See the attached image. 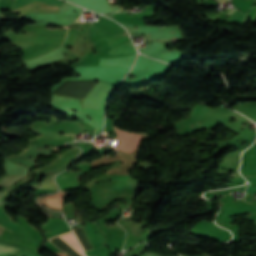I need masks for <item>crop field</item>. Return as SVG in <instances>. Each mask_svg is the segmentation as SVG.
Wrapping results in <instances>:
<instances>
[{"label":"crop field","mask_w":256,"mask_h":256,"mask_svg":"<svg viewBox=\"0 0 256 256\" xmlns=\"http://www.w3.org/2000/svg\"><path fill=\"white\" fill-rule=\"evenodd\" d=\"M114 86L97 82L82 98L83 107L99 109L103 99Z\"/></svg>","instance_id":"obj_2"},{"label":"crop field","mask_w":256,"mask_h":256,"mask_svg":"<svg viewBox=\"0 0 256 256\" xmlns=\"http://www.w3.org/2000/svg\"><path fill=\"white\" fill-rule=\"evenodd\" d=\"M115 129L117 131L118 137L114 139V142L112 145H114L121 151H126V152L131 153L138 146L141 135L127 133V132H125L121 129H118L116 127H115ZM117 148H115V149H117Z\"/></svg>","instance_id":"obj_3"},{"label":"crop field","mask_w":256,"mask_h":256,"mask_svg":"<svg viewBox=\"0 0 256 256\" xmlns=\"http://www.w3.org/2000/svg\"><path fill=\"white\" fill-rule=\"evenodd\" d=\"M30 1H33V0H13V2L11 4L12 10H14ZM40 1L47 3V4L55 5V6H60L61 2H62L61 0H40Z\"/></svg>","instance_id":"obj_4"},{"label":"crop field","mask_w":256,"mask_h":256,"mask_svg":"<svg viewBox=\"0 0 256 256\" xmlns=\"http://www.w3.org/2000/svg\"><path fill=\"white\" fill-rule=\"evenodd\" d=\"M123 153V152H120V154Z\"/></svg>","instance_id":"obj_11"},{"label":"crop field","mask_w":256,"mask_h":256,"mask_svg":"<svg viewBox=\"0 0 256 256\" xmlns=\"http://www.w3.org/2000/svg\"><path fill=\"white\" fill-rule=\"evenodd\" d=\"M230 17V19L237 21L239 23H245L246 19L248 16L241 14L238 10L234 9V10H230L227 13Z\"/></svg>","instance_id":"obj_6"},{"label":"crop field","mask_w":256,"mask_h":256,"mask_svg":"<svg viewBox=\"0 0 256 256\" xmlns=\"http://www.w3.org/2000/svg\"><path fill=\"white\" fill-rule=\"evenodd\" d=\"M60 237L63 238L67 243H69L73 248H75L79 253H81L84 256V254H83L78 242L76 241L75 237L73 236L72 232L62 234V235H60Z\"/></svg>","instance_id":"obj_5"},{"label":"crop field","mask_w":256,"mask_h":256,"mask_svg":"<svg viewBox=\"0 0 256 256\" xmlns=\"http://www.w3.org/2000/svg\"><path fill=\"white\" fill-rule=\"evenodd\" d=\"M217 1H218V0H217ZM219 1L222 2V1H224V0H219ZM219 1H218V2H219Z\"/></svg>","instance_id":"obj_10"},{"label":"crop field","mask_w":256,"mask_h":256,"mask_svg":"<svg viewBox=\"0 0 256 256\" xmlns=\"http://www.w3.org/2000/svg\"><path fill=\"white\" fill-rule=\"evenodd\" d=\"M77 38V31H68V35L64 44H74Z\"/></svg>","instance_id":"obj_8"},{"label":"crop field","mask_w":256,"mask_h":256,"mask_svg":"<svg viewBox=\"0 0 256 256\" xmlns=\"http://www.w3.org/2000/svg\"><path fill=\"white\" fill-rule=\"evenodd\" d=\"M18 247L0 242V255L17 251Z\"/></svg>","instance_id":"obj_7"},{"label":"crop field","mask_w":256,"mask_h":256,"mask_svg":"<svg viewBox=\"0 0 256 256\" xmlns=\"http://www.w3.org/2000/svg\"><path fill=\"white\" fill-rule=\"evenodd\" d=\"M64 28H67L68 27V25H62Z\"/></svg>","instance_id":"obj_9"},{"label":"crop field","mask_w":256,"mask_h":256,"mask_svg":"<svg viewBox=\"0 0 256 256\" xmlns=\"http://www.w3.org/2000/svg\"><path fill=\"white\" fill-rule=\"evenodd\" d=\"M137 51L131 41L125 42L100 56L99 65L129 68Z\"/></svg>","instance_id":"obj_1"}]
</instances>
